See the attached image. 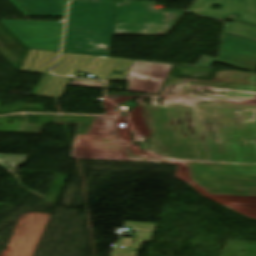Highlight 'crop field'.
Listing matches in <instances>:
<instances>
[{
    "label": "crop field",
    "mask_w": 256,
    "mask_h": 256,
    "mask_svg": "<svg viewBox=\"0 0 256 256\" xmlns=\"http://www.w3.org/2000/svg\"><path fill=\"white\" fill-rule=\"evenodd\" d=\"M182 79L170 77L162 98H200L219 101L256 104V85L216 81L211 90L178 88ZM201 166L256 168L255 166L218 165L191 163Z\"/></svg>",
    "instance_id": "412701ff"
},
{
    "label": "crop field",
    "mask_w": 256,
    "mask_h": 256,
    "mask_svg": "<svg viewBox=\"0 0 256 256\" xmlns=\"http://www.w3.org/2000/svg\"><path fill=\"white\" fill-rule=\"evenodd\" d=\"M161 140V139H160ZM162 143V142H161ZM163 147V146H162ZM164 151V150H163ZM165 154V153H164ZM166 158V157H165Z\"/></svg>",
    "instance_id": "a9b5d70f"
},
{
    "label": "crop field",
    "mask_w": 256,
    "mask_h": 256,
    "mask_svg": "<svg viewBox=\"0 0 256 256\" xmlns=\"http://www.w3.org/2000/svg\"><path fill=\"white\" fill-rule=\"evenodd\" d=\"M173 65L134 61L125 81L127 92L158 95Z\"/></svg>",
    "instance_id": "d8731c3e"
},
{
    "label": "crop field",
    "mask_w": 256,
    "mask_h": 256,
    "mask_svg": "<svg viewBox=\"0 0 256 256\" xmlns=\"http://www.w3.org/2000/svg\"><path fill=\"white\" fill-rule=\"evenodd\" d=\"M24 15L64 17L67 0H9Z\"/></svg>",
    "instance_id": "d1516ede"
},
{
    "label": "crop field",
    "mask_w": 256,
    "mask_h": 256,
    "mask_svg": "<svg viewBox=\"0 0 256 256\" xmlns=\"http://www.w3.org/2000/svg\"><path fill=\"white\" fill-rule=\"evenodd\" d=\"M57 54L29 50L19 71L48 74Z\"/></svg>",
    "instance_id": "cbeb9de0"
},
{
    "label": "crop field",
    "mask_w": 256,
    "mask_h": 256,
    "mask_svg": "<svg viewBox=\"0 0 256 256\" xmlns=\"http://www.w3.org/2000/svg\"><path fill=\"white\" fill-rule=\"evenodd\" d=\"M29 48L58 51L63 24L1 20Z\"/></svg>",
    "instance_id": "e52e79f7"
},
{
    "label": "crop field",
    "mask_w": 256,
    "mask_h": 256,
    "mask_svg": "<svg viewBox=\"0 0 256 256\" xmlns=\"http://www.w3.org/2000/svg\"><path fill=\"white\" fill-rule=\"evenodd\" d=\"M116 141L117 138L91 137L90 150L122 151Z\"/></svg>",
    "instance_id": "733c2abd"
},
{
    "label": "crop field",
    "mask_w": 256,
    "mask_h": 256,
    "mask_svg": "<svg viewBox=\"0 0 256 256\" xmlns=\"http://www.w3.org/2000/svg\"><path fill=\"white\" fill-rule=\"evenodd\" d=\"M70 85L103 88L104 83L95 81L73 80Z\"/></svg>",
    "instance_id": "214f88e0"
},
{
    "label": "crop field",
    "mask_w": 256,
    "mask_h": 256,
    "mask_svg": "<svg viewBox=\"0 0 256 256\" xmlns=\"http://www.w3.org/2000/svg\"><path fill=\"white\" fill-rule=\"evenodd\" d=\"M214 4L220 10H212ZM189 12L221 19L229 18L256 25V0H197Z\"/></svg>",
    "instance_id": "3316defc"
},
{
    "label": "crop field",
    "mask_w": 256,
    "mask_h": 256,
    "mask_svg": "<svg viewBox=\"0 0 256 256\" xmlns=\"http://www.w3.org/2000/svg\"><path fill=\"white\" fill-rule=\"evenodd\" d=\"M131 63L130 60L62 53L53 74L76 77L78 71H84L97 75L100 80H123ZM113 70L124 71L123 76L112 74Z\"/></svg>",
    "instance_id": "f4fd0767"
},
{
    "label": "crop field",
    "mask_w": 256,
    "mask_h": 256,
    "mask_svg": "<svg viewBox=\"0 0 256 256\" xmlns=\"http://www.w3.org/2000/svg\"><path fill=\"white\" fill-rule=\"evenodd\" d=\"M150 141H151V145H152L153 151L158 153V151H157V149H156V146H155V143H154V141H153V138H151Z\"/></svg>",
    "instance_id": "92a150f3"
},
{
    "label": "crop field",
    "mask_w": 256,
    "mask_h": 256,
    "mask_svg": "<svg viewBox=\"0 0 256 256\" xmlns=\"http://www.w3.org/2000/svg\"><path fill=\"white\" fill-rule=\"evenodd\" d=\"M216 80L256 84V74L233 71L216 72L212 81L184 78L180 87L211 89Z\"/></svg>",
    "instance_id": "22f410ed"
},
{
    "label": "crop field",
    "mask_w": 256,
    "mask_h": 256,
    "mask_svg": "<svg viewBox=\"0 0 256 256\" xmlns=\"http://www.w3.org/2000/svg\"><path fill=\"white\" fill-rule=\"evenodd\" d=\"M214 61L254 72L256 41L224 33L219 57L203 56L195 66L210 68Z\"/></svg>",
    "instance_id": "dd49c442"
},
{
    "label": "crop field",
    "mask_w": 256,
    "mask_h": 256,
    "mask_svg": "<svg viewBox=\"0 0 256 256\" xmlns=\"http://www.w3.org/2000/svg\"><path fill=\"white\" fill-rule=\"evenodd\" d=\"M94 119L95 117L86 116H58L57 123L80 124L71 158L84 159L81 156L92 130ZM120 146L123 152L90 151L88 159L150 163L138 153H128L127 146L122 144Z\"/></svg>",
    "instance_id": "5a996713"
},
{
    "label": "crop field",
    "mask_w": 256,
    "mask_h": 256,
    "mask_svg": "<svg viewBox=\"0 0 256 256\" xmlns=\"http://www.w3.org/2000/svg\"><path fill=\"white\" fill-rule=\"evenodd\" d=\"M150 103H158L157 98L149 97Z\"/></svg>",
    "instance_id": "dafd665d"
},
{
    "label": "crop field",
    "mask_w": 256,
    "mask_h": 256,
    "mask_svg": "<svg viewBox=\"0 0 256 256\" xmlns=\"http://www.w3.org/2000/svg\"><path fill=\"white\" fill-rule=\"evenodd\" d=\"M68 81L67 78L43 75L33 96L60 99Z\"/></svg>",
    "instance_id": "5142ce71"
},
{
    "label": "crop field",
    "mask_w": 256,
    "mask_h": 256,
    "mask_svg": "<svg viewBox=\"0 0 256 256\" xmlns=\"http://www.w3.org/2000/svg\"><path fill=\"white\" fill-rule=\"evenodd\" d=\"M184 12L152 10V1L116 0L113 35L166 36Z\"/></svg>",
    "instance_id": "ac0d7876"
},
{
    "label": "crop field",
    "mask_w": 256,
    "mask_h": 256,
    "mask_svg": "<svg viewBox=\"0 0 256 256\" xmlns=\"http://www.w3.org/2000/svg\"><path fill=\"white\" fill-rule=\"evenodd\" d=\"M191 179L211 194L256 197V169L190 166Z\"/></svg>",
    "instance_id": "34b2d1b8"
},
{
    "label": "crop field",
    "mask_w": 256,
    "mask_h": 256,
    "mask_svg": "<svg viewBox=\"0 0 256 256\" xmlns=\"http://www.w3.org/2000/svg\"><path fill=\"white\" fill-rule=\"evenodd\" d=\"M115 0H73L64 51L110 57Z\"/></svg>",
    "instance_id": "8a807250"
},
{
    "label": "crop field",
    "mask_w": 256,
    "mask_h": 256,
    "mask_svg": "<svg viewBox=\"0 0 256 256\" xmlns=\"http://www.w3.org/2000/svg\"><path fill=\"white\" fill-rule=\"evenodd\" d=\"M225 31L256 39V27L240 24L237 22L226 23Z\"/></svg>",
    "instance_id": "4a817a6b"
},
{
    "label": "crop field",
    "mask_w": 256,
    "mask_h": 256,
    "mask_svg": "<svg viewBox=\"0 0 256 256\" xmlns=\"http://www.w3.org/2000/svg\"><path fill=\"white\" fill-rule=\"evenodd\" d=\"M124 225L131 227V231H137L135 241L120 238L112 256H137L136 251L140 249L143 243L151 241L157 224L125 222Z\"/></svg>",
    "instance_id": "28ad6ade"
},
{
    "label": "crop field",
    "mask_w": 256,
    "mask_h": 256,
    "mask_svg": "<svg viewBox=\"0 0 256 256\" xmlns=\"http://www.w3.org/2000/svg\"><path fill=\"white\" fill-rule=\"evenodd\" d=\"M112 120H113V123H114V126H115L114 119H112ZM95 121L97 123L98 129H99V132H100L98 137H117L118 136L117 130H116L117 134H108L103 118L96 117ZM115 129H116V126H115ZM93 131H94V128H93L90 136H96V135H92ZM89 143H90V138L88 140L87 146H86L84 154L82 156L84 158L89 157ZM120 143H123V144L127 145L128 149H129V152H138L142 157H144L145 159H147V160H149L153 163L176 164V163L167 162V161L163 162L162 160H160L159 158H157L153 154L147 152L146 150L141 151L140 148H139V143H137L136 146H134L133 143H124V142H121V141L118 140V144H120Z\"/></svg>",
    "instance_id": "d9b57169"
},
{
    "label": "crop field",
    "mask_w": 256,
    "mask_h": 256,
    "mask_svg": "<svg viewBox=\"0 0 256 256\" xmlns=\"http://www.w3.org/2000/svg\"><path fill=\"white\" fill-rule=\"evenodd\" d=\"M27 157L28 156L0 154V166H3L5 168L17 169L18 166H23Z\"/></svg>",
    "instance_id": "bc2a9ffb"
},
{
    "label": "crop field",
    "mask_w": 256,
    "mask_h": 256,
    "mask_svg": "<svg viewBox=\"0 0 256 256\" xmlns=\"http://www.w3.org/2000/svg\"><path fill=\"white\" fill-rule=\"evenodd\" d=\"M165 1H173V0H165Z\"/></svg>",
    "instance_id": "00972430"
}]
</instances>
